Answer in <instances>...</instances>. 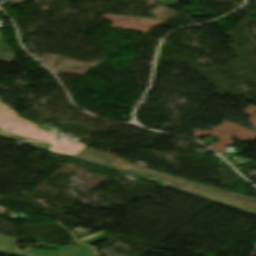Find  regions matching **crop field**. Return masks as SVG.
Here are the masks:
<instances>
[{"mask_svg":"<svg viewBox=\"0 0 256 256\" xmlns=\"http://www.w3.org/2000/svg\"><path fill=\"white\" fill-rule=\"evenodd\" d=\"M36 127L37 125L25 119H21L2 128L1 130L49 143L51 145L48 147V152L61 155H70L75 157L86 147H88L82 143H78L69 139L64 142L57 141L55 140L58 137L57 135L43 131Z\"/></svg>","mask_w":256,"mask_h":256,"instance_id":"crop-field-1","label":"crop field"},{"mask_svg":"<svg viewBox=\"0 0 256 256\" xmlns=\"http://www.w3.org/2000/svg\"><path fill=\"white\" fill-rule=\"evenodd\" d=\"M21 119L5 103L0 101V128Z\"/></svg>","mask_w":256,"mask_h":256,"instance_id":"crop-field-3","label":"crop field"},{"mask_svg":"<svg viewBox=\"0 0 256 256\" xmlns=\"http://www.w3.org/2000/svg\"><path fill=\"white\" fill-rule=\"evenodd\" d=\"M74 256H91V255H90L89 248L83 247Z\"/></svg>","mask_w":256,"mask_h":256,"instance_id":"crop-field-4","label":"crop field"},{"mask_svg":"<svg viewBox=\"0 0 256 256\" xmlns=\"http://www.w3.org/2000/svg\"><path fill=\"white\" fill-rule=\"evenodd\" d=\"M79 246H62L58 251L49 253L26 249L19 251L18 247L13 245L10 240L0 237V253L13 256H73L79 249ZM36 253V255H34Z\"/></svg>","mask_w":256,"mask_h":256,"instance_id":"crop-field-2","label":"crop field"},{"mask_svg":"<svg viewBox=\"0 0 256 256\" xmlns=\"http://www.w3.org/2000/svg\"><path fill=\"white\" fill-rule=\"evenodd\" d=\"M178 2V0H162L161 4H165V5H176Z\"/></svg>","mask_w":256,"mask_h":256,"instance_id":"crop-field-6","label":"crop field"},{"mask_svg":"<svg viewBox=\"0 0 256 256\" xmlns=\"http://www.w3.org/2000/svg\"><path fill=\"white\" fill-rule=\"evenodd\" d=\"M107 235H108V234L105 233V234H103V235H100V236H98V237H95V238H93V239H90V240H88V241H85V242H83V243H85V244H87V245H90V244H92V243H94V242H96V241H99V240L105 238Z\"/></svg>","mask_w":256,"mask_h":256,"instance_id":"crop-field-5","label":"crop field"},{"mask_svg":"<svg viewBox=\"0 0 256 256\" xmlns=\"http://www.w3.org/2000/svg\"><path fill=\"white\" fill-rule=\"evenodd\" d=\"M0 200H1V198H0Z\"/></svg>","mask_w":256,"mask_h":256,"instance_id":"crop-field-7","label":"crop field"}]
</instances>
